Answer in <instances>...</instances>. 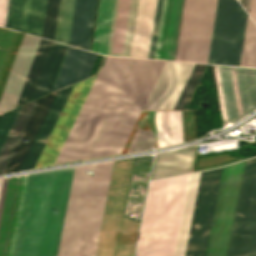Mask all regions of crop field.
<instances>
[{"label":"crop field","instance_id":"1","mask_svg":"<svg viewBox=\"0 0 256 256\" xmlns=\"http://www.w3.org/2000/svg\"><path fill=\"white\" fill-rule=\"evenodd\" d=\"M134 60L106 58L54 164L87 157ZM165 62L136 59L88 158L121 152Z\"/></svg>","mask_w":256,"mask_h":256},{"label":"crop field","instance_id":"2","mask_svg":"<svg viewBox=\"0 0 256 256\" xmlns=\"http://www.w3.org/2000/svg\"><path fill=\"white\" fill-rule=\"evenodd\" d=\"M73 171L29 175L13 256H56Z\"/></svg>","mask_w":256,"mask_h":256},{"label":"crop field","instance_id":"3","mask_svg":"<svg viewBox=\"0 0 256 256\" xmlns=\"http://www.w3.org/2000/svg\"><path fill=\"white\" fill-rule=\"evenodd\" d=\"M112 163L75 168L58 256H95Z\"/></svg>","mask_w":256,"mask_h":256},{"label":"crop field","instance_id":"4","mask_svg":"<svg viewBox=\"0 0 256 256\" xmlns=\"http://www.w3.org/2000/svg\"><path fill=\"white\" fill-rule=\"evenodd\" d=\"M188 176L150 182L136 256H172Z\"/></svg>","mask_w":256,"mask_h":256},{"label":"crop field","instance_id":"5","mask_svg":"<svg viewBox=\"0 0 256 256\" xmlns=\"http://www.w3.org/2000/svg\"><path fill=\"white\" fill-rule=\"evenodd\" d=\"M217 168L190 174L173 256H184L193 208L195 209L185 256H206V250L222 174Z\"/></svg>","mask_w":256,"mask_h":256},{"label":"crop field","instance_id":"6","mask_svg":"<svg viewBox=\"0 0 256 256\" xmlns=\"http://www.w3.org/2000/svg\"><path fill=\"white\" fill-rule=\"evenodd\" d=\"M217 0H184L175 60L207 63Z\"/></svg>","mask_w":256,"mask_h":256},{"label":"crop field","instance_id":"7","mask_svg":"<svg viewBox=\"0 0 256 256\" xmlns=\"http://www.w3.org/2000/svg\"><path fill=\"white\" fill-rule=\"evenodd\" d=\"M223 122L256 108V69L213 65Z\"/></svg>","mask_w":256,"mask_h":256},{"label":"crop field","instance_id":"8","mask_svg":"<svg viewBox=\"0 0 256 256\" xmlns=\"http://www.w3.org/2000/svg\"><path fill=\"white\" fill-rule=\"evenodd\" d=\"M246 18L236 0H218L208 63L239 65Z\"/></svg>","mask_w":256,"mask_h":256},{"label":"crop field","instance_id":"9","mask_svg":"<svg viewBox=\"0 0 256 256\" xmlns=\"http://www.w3.org/2000/svg\"><path fill=\"white\" fill-rule=\"evenodd\" d=\"M227 256H256V158L245 163Z\"/></svg>","mask_w":256,"mask_h":256},{"label":"crop field","instance_id":"10","mask_svg":"<svg viewBox=\"0 0 256 256\" xmlns=\"http://www.w3.org/2000/svg\"><path fill=\"white\" fill-rule=\"evenodd\" d=\"M244 163L224 166L207 256H226Z\"/></svg>","mask_w":256,"mask_h":256},{"label":"crop field","instance_id":"11","mask_svg":"<svg viewBox=\"0 0 256 256\" xmlns=\"http://www.w3.org/2000/svg\"><path fill=\"white\" fill-rule=\"evenodd\" d=\"M95 78L74 85L34 168L53 164Z\"/></svg>","mask_w":256,"mask_h":256},{"label":"crop field","instance_id":"12","mask_svg":"<svg viewBox=\"0 0 256 256\" xmlns=\"http://www.w3.org/2000/svg\"><path fill=\"white\" fill-rule=\"evenodd\" d=\"M193 66L167 61L143 109H172Z\"/></svg>","mask_w":256,"mask_h":256},{"label":"crop field","instance_id":"13","mask_svg":"<svg viewBox=\"0 0 256 256\" xmlns=\"http://www.w3.org/2000/svg\"><path fill=\"white\" fill-rule=\"evenodd\" d=\"M27 177L28 175L8 180L0 222V256H12Z\"/></svg>","mask_w":256,"mask_h":256},{"label":"crop field","instance_id":"14","mask_svg":"<svg viewBox=\"0 0 256 256\" xmlns=\"http://www.w3.org/2000/svg\"><path fill=\"white\" fill-rule=\"evenodd\" d=\"M162 1L163 0H158V2L157 0H139L130 56L148 58L157 2L149 55V58H153Z\"/></svg>","mask_w":256,"mask_h":256},{"label":"crop field","instance_id":"15","mask_svg":"<svg viewBox=\"0 0 256 256\" xmlns=\"http://www.w3.org/2000/svg\"><path fill=\"white\" fill-rule=\"evenodd\" d=\"M47 0H10L7 28L24 32L29 26V33L41 37Z\"/></svg>","mask_w":256,"mask_h":256},{"label":"crop field","instance_id":"16","mask_svg":"<svg viewBox=\"0 0 256 256\" xmlns=\"http://www.w3.org/2000/svg\"><path fill=\"white\" fill-rule=\"evenodd\" d=\"M129 1L130 0H119V5H118V0H116L115 2L107 55L129 56L138 0H131L130 7H129ZM117 5H118V11H117ZM128 7H129V13H128ZM116 11H117V17H116ZM127 13H128V20H127ZM115 17H116V24H115ZM126 20H127V26H126ZM114 24H115V30H114ZM125 26H126V32H125ZM113 30H114V37H113ZM124 32H125V38H124ZM112 37H113V43H112ZM123 38H124V44H123ZM111 43H112V49H111ZM122 44H123V50H122ZM110 49H111V52H116V53H121V50H122V54L110 53Z\"/></svg>","mask_w":256,"mask_h":256},{"label":"crop field","instance_id":"17","mask_svg":"<svg viewBox=\"0 0 256 256\" xmlns=\"http://www.w3.org/2000/svg\"><path fill=\"white\" fill-rule=\"evenodd\" d=\"M173 0H164L155 56L163 59ZM183 0H174L164 59L174 60Z\"/></svg>","mask_w":256,"mask_h":256},{"label":"crop field","instance_id":"18","mask_svg":"<svg viewBox=\"0 0 256 256\" xmlns=\"http://www.w3.org/2000/svg\"><path fill=\"white\" fill-rule=\"evenodd\" d=\"M96 55L69 46L53 91L87 78Z\"/></svg>","mask_w":256,"mask_h":256},{"label":"crop field","instance_id":"19","mask_svg":"<svg viewBox=\"0 0 256 256\" xmlns=\"http://www.w3.org/2000/svg\"><path fill=\"white\" fill-rule=\"evenodd\" d=\"M56 92L40 99L4 173L19 170ZM26 140L28 141L27 143L25 142Z\"/></svg>","mask_w":256,"mask_h":256},{"label":"crop field","instance_id":"20","mask_svg":"<svg viewBox=\"0 0 256 256\" xmlns=\"http://www.w3.org/2000/svg\"><path fill=\"white\" fill-rule=\"evenodd\" d=\"M73 86L58 90L19 171L31 169Z\"/></svg>","mask_w":256,"mask_h":256},{"label":"crop field","instance_id":"21","mask_svg":"<svg viewBox=\"0 0 256 256\" xmlns=\"http://www.w3.org/2000/svg\"><path fill=\"white\" fill-rule=\"evenodd\" d=\"M195 149L156 155L151 180L191 172Z\"/></svg>","mask_w":256,"mask_h":256},{"label":"crop field","instance_id":"22","mask_svg":"<svg viewBox=\"0 0 256 256\" xmlns=\"http://www.w3.org/2000/svg\"><path fill=\"white\" fill-rule=\"evenodd\" d=\"M96 0H76L70 45L88 50Z\"/></svg>","mask_w":256,"mask_h":256},{"label":"crop field","instance_id":"23","mask_svg":"<svg viewBox=\"0 0 256 256\" xmlns=\"http://www.w3.org/2000/svg\"><path fill=\"white\" fill-rule=\"evenodd\" d=\"M137 131L154 132L155 147L157 146L155 111L141 112L122 153L127 152ZM145 132H137L127 153L154 148L153 133Z\"/></svg>","mask_w":256,"mask_h":256},{"label":"crop field","instance_id":"24","mask_svg":"<svg viewBox=\"0 0 256 256\" xmlns=\"http://www.w3.org/2000/svg\"><path fill=\"white\" fill-rule=\"evenodd\" d=\"M39 99L22 106L0 150V174L4 172Z\"/></svg>","mask_w":256,"mask_h":256},{"label":"crop field","instance_id":"25","mask_svg":"<svg viewBox=\"0 0 256 256\" xmlns=\"http://www.w3.org/2000/svg\"><path fill=\"white\" fill-rule=\"evenodd\" d=\"M158 147L182 142L181 111H156Z\"/></svg>","mask_w":256,"mask_h":256},{"label":"crop field","instance_id":"26","mask_svg":"<svg viewBox=\"0 0 256 256\" xmlns=\"http://www.w3.org/2000/svg\"><path fill=\"white\" fill-rule=\"evenodd\" d=\"M67 47V45L53 43L33 99L52 91Z\"/></svg>","mask_w":256,"mask_h":256},{"label":"crop field","instance_id":"27","mask_svg":"<svg viewBox=\"0 0 256 256\" xmlns=\"http://www.w3.org/2000/svg\"><path fill=\"white\" fill-rule=\"evenodd\" d=\"M52 43L51 41L41 40L17 106L31 101Z\"/></svg>","mask_w":256,"mask_h":256},{"label":"crop field","instance_id":"28","mask_svg":"<svg viewBox=\"0 0 256 256\" xmlns=\"http://www.w3.org/2000/svg\"><path fill=\"white\" fill-rule=\"evenodd\" d=\"M114 2L115 0H100L99 2V9L93 42V48L94 44L98 45V49L95 45V52L96 49L99 53L106 54L107 52Z\"/></svg>","mask_w":256,"mask_h":256},{"label":"crop field","instance_id":"29","mask_svg":"<svg viewBox=\"0 0 256 256\" xmlns=\"http://www.w3.org/2000/svg\"><path fill=\"white\" fill-rule=\"evenodd\" d=\"M75 0H61L54 40L68 44Z\"/></svg>","mask_w":256,"mask_h":256},{"label":"crop field","instance_id":"30","mask_svg":"<svg viewBox=\"0 0 256 256\" xmlns=\"http://www.w3.org/2000/svg\"><path fill=\"white\" fill-rule=\"evenodd\" d=\"M240 65L256 67V25L247 18Z\"/></svg>","mask_w":256,"mask_h":256},{"label":"crop field","instance_id":"31","mask_svg":"<svg viewBox=\"0 0 256 256\" xmlns=\"http://www.w3.org/2000/svg\"><path fill=\"white\" fill-rule=\"evenodd\" d=\"M60 0H48L45 14L42 37L52 39L54 37L58 7Z\"/></svg>","mask_w":256,"mask_h":256},{"label":"crop field","instance_id":"32","mask_svg":"<svg viewBox=\"0 0 256 256\" xmlns=\"http://www.w3.org/2000/svg\"><path fill=\"white\" fill-rule=\"evenodd\" d=\"M204 66H205L204 64H196L195 65L174 109H183L184 108Z\"/></svg>","mask_w":256,"mask_h":256},{"label":"crop field","instance_id":"33","mask_svg":"<svg viewBox=\"0 0 256 256\" xmlns=\"http://www.w3.org/2000/svg\"><path fill=\"white\" fill-rule=\"evenodd\" d=\"M21 108V107H20ZM20 108L1 115L0 117V148L20 110Z\"/></svg>","mask_w":256,"mask_h":256},{"label":"crop field","instance_id":"34","mask_svg":"<svg viewBox=\"0 0 256 256\" xmlns=\"http://www.w3.org/2000/svg\"><path fill=\"white\" fill-rule=\"evenodd\" d=\"M9 0H0V26L6 24Z\"/></svg>","mask_w":256,"mask_h":256},{"label":"crop field","instance_id":"35","mask_svg":"<svg viewBox=\"0 0 256 256\" xmlns=\"http://www.w3.org/2000/svg\"><path fill=\"white\" fill-rule=\"evenodd\" d=\"M7 180L8 178L0 179V217L2 212L5 191H6Z\"/></svg>","mask_w":256,"mask_h":256},{"label":"crop field","instance_id":"36","mask_svg":"<svg viewBox=\"0 0 256 256\" xmlns=\"http://www.w3.org/2000/svg\"><path fill=\"white\" fill-rule=\"evenodd\" d=\"M248 13L256 22V0H250Z\"/></svg>","mask_w":256,"mask_h":256},{"label":"crop field","instance_id":"37","mask_svg":"<svg viewBox=\"0 0 256 256\" xmlns=\"http://www.w3.org/2000/svg\"><path fill=\"white\" fill-rule=\"evenodd\" d=\"M239 2L242 4V6L246 9V11L248 10V4H249V0H239Z\"/></svg>","mask_w":256,"mask_h":256}]
</instances>
